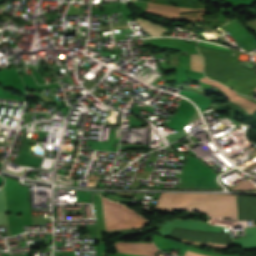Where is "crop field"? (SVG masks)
I'll return each instance as SVG.
<instances>
[{
  "label": "crop field",
  "instance_id": "crop-field-11",
  "mask_svg": "<svg viewBox=\"0 0 256 256\" xmlns=\"http://www.w3.org/2000/svg\"><path fill=\"white\" fill-rule=\"evenodd\" d=\"M122 256H137V255H126V254H121Z\"/></svg>",
  "mask_w": 256,
  "mask_h": 256
},
{
  "label": "crop field",
  "instance_id": "crop-field-2",
  "mask_svg": "<svg viewBox=\"0 0 256 256\" xmlns=\"http://www.w3.org/2000/svg\"><path fill=\"white\" fill-rule=\"evenodd\" d=\"M205 59L206 77L225 84L231 77L253 89L256 73L239 65L228 53L197 46Z\"/></svg>",
  "mask_w": 256,
  "mask_h": 256
},
{
  "label": "crop field",
  "instance_id": "crop-field-8",
  "mask_svg": "<svg viewBox=\"0 0 256 256\" xmlns=\"http://www.w3.org/2000/svg\"><path fill=\"white\" fill-rule=\"evenodd\" d=\"M247 189H256V187L251 183L249 179L235 186L232 190H247Z\"/></svg>",
  "mask_w": 256,
  "mask_h": 256
},
{
  "label": "crop field",
  "instance_id": "crop-field-3",
  "mask_svg": "<svg viewBox=\"0 0 256 256\" xmlns=\"http://www.w3.org/2000/svg\"><path fill=\"white\" fill-rule=\"evenodd\" d=\"M216 175L203 162L189 156L178 188L219 189L220 187L215 180Z\"/></svg>",
  "mask_w": 256,
  "mask_h": 256
},
{
  "label": "crop field",
  "instance_id": "crop-field-5",
  "mask_svg": "<svg viewBox=\"0 0 256 256\" xmlns=\"http://www.w3.org/2000/svg\"><path fill=\"white\" fill-rule=\"evenodd\" d=\"M151 36L162 35V32H166L161 26H157L151 23H148L142 19H135Z\"/></svg>",
  "mask_w": 256,
  "mask_h": 256
},
{
  "label": "crop field",
  "instance_id": "crop-field-1",
  "mask_svg": "<svg viewBox=\"0 0 256 256\" xmlns=\"http://www.w3.org/2000/svg\"><path fill=\"white\" fill-rule=\"evenodd\" d=\"M156 207L185 209L240 221L238 196L235 195L161 193Z\"/></svg>",
  "mask_w": 256,
  "mask_h": 256
},
{
  "label": "crop field",
  "instance_id": "crop-field-10",
  "mask_svg": "<svg viewBox=\"0 0 256 256\" xmlns=\"http://www.w3.org/2000/svg\"><path fill=\"white\" fill-rule=\"evenodd\" d=\"M6 205H5V195H4V186L0 190V214H6Z\"/></svg>",
  "mask_w": 256,
  "mask_h": 256
},
{
  "label": "crop field",
  "instance_id": "crop-field-6",
  "mask_svg": "<svg viewBox=\"0 0 256 256\" xmlns=\"http://www.w3.org/2000/svg\"><path fill=\"white\" fill-rule=\"evenodd\" d=\"M192 70L203 72V59L200 55L192 54L191 57Z\"/></svg>",
  "mask_w": 256,
  "mask_h": 256
},
{
  "label": "crop field",
  "instance_id": "crop-field-7",
  "mask_svg": "<svg viewBox=\"0 0 256 256\" xmlns=\"http://www.w3.org/2000/svg\"><path fill=\"white\" fill-rule=\"evenodd\" d=\"M185 256H223V255H218L214 253H209V252L189 248Z\"/></svg>",
  "mask_w": 256,
  "mask_h": 256
},
{
  "label": "crop field",
  "instance_id": "crop-field-4",
  "mask_svg": "<svg viewBox=\"0 0 256 256\" xmlns=\"http://www.w3.org/2000/svg\"><path fill=\"white\" fill-rule=\"evenodd\" d=\"M223 96L226 97L231 102H233V103L237 104L238 106H240L244 111L250 113L251 115L256 110V104L250 102L249 100H247V99H245V98H243V97H241L239 95L235 99L230 97L226 93Z\"/></svg>",
  "mask_w": 256,
  "mask_h": 256
},
{
  "label": "crop field",
  "instance_id": "crop-field-9",
  "mask_svg": "<svg viewBox=\"0 0 256 256\" xmlns=\"http://www.w3.org/2000/svg\"><path fill=\"white\" fill-rule=\"evenodd\" d=\"M239 168L243 169L245 172L256 167V157H254L253 159L245 162L244 164L238 166Z\"/></svg>",
  "mask_w": 256,
  "mask_h": 256
}]
</instances>
